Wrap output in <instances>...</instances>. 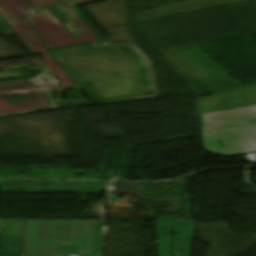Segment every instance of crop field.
I'll list each match as a JSON object with an SVG mask.
<instances>
[{
	"instance_id": "8a807250",
	"label": "crop field",
	"mask_w": 256,
	"mask_h": 256,
	"mask_svg": "<svg viewBox=\"0 0 256 256\" xmlns=\"http://www.w3.org/2000/svg\"><path fill=\"white\" fill-rule=\"evenodd\" d=\"M94 226L95 221L28 220L21 254L55 256L60 244H75L79 254H92Z\"/></svg>"
},
{
	"instance_id": "ac0d7876",
	"label": "crop field",
	"mask_w": 256,
	"mask_h": 256,
	"mask_svg": "<svg viewBox=\"0 0 256 256\" xmlns=\"http://www.w3.org/2000/svg\"><path fill=\"white\" fill-rule=\"evenodd\" d=\"M110 174L73 170L72 161L0 160V178L110 179Z\"/></svg>"
},
{
	"instance_id": "34b2d1b8",
	"label": "crop field",
	"mask_w": 256,
	"mask_h": 256,
	"mask_svg": "<svg viewBox=\"0 0 256 256\" xmlns=\"http://www.w3.org/2000/svg\"><path fill=\"white\" fill-rule=\"evenodd\" d=\"M203 139L210 152L224 156L256 151V124L206 132ZM217 140L223 143V148Z\"/></svg>"
},
{
	"instance_id": "412701ff",
	"label": "crop field",
	"mask_w": 256,
	"mask_h": 256,
	"mask_svg": "<svg viewBox=\"0 0 256 256\" xmlns=\"http://www.w3.org/2000/svg\"><path fill=\"white\" fill-rule=\"evenodd\" d=\"M171 224H174V247L173 256H191L193 233H194V221H156L159 255L160 256H171V235L168 233L172 232ZM176 224H191L184 226H176ZM162 227H165V237H163ZM188 228V229H178ZM181 233L182 235H177Z\"/></svg>"
},
{
	"instance_id": "f4fd0767",
	"label": "crop field",
	"mask_w": 256,
	"mask_h": 256,
	"mask_svg": "<svg viewBox=\"0 0 256 256\" xmlns=\"http://www.w3.org/2000/svg\"><path fill=\"white\" fill-rule=\"evenodd\" d=\"M10 181L22 183H10ZM102 182L85 181H50V180H0L1 192H19V190H6V188H21L26 192L72 191V193H97ZM20 185V186H4ZM45 185L48 187H37ZM51 189V190H36Z\"/></svg>"
},
{
	"instance_id": "dd49c442",
	"label": "crop field",
	"mask_w": 256,
	"mask_h": 256,
	"mask_svg": "<svg viewBox=\"0 0 256 256\" xmlns=\"http://www.w3.org/2000/svg\"><path fill=\"white\" fill-rule=\"evenodd\" d=\"M203 131L256 122V107L204 115Z\"/></svg>"
},
{
	"instance_id": "e52e79f7",
	"label": "crop field",
	"mask_w": 256,
	"mask_h": 256,
	"mask_svg": "<svg viewBox=\"0 0 256 256\" xmlns=\"http://www.w3.org/2000/svg\"><path fill=\"white\" fill-rule=\"evenodd\" d=\"M25 222L26 220L0 219V255H19ZM6 244L8 248H5Z\"/></svg>"
},
{
	"instance_id": "d8731c3e",
	"label": "crop field",
	"mask_w": 256,
	"mask_h": 256,
	"mask_svg": "<svg viewBox=\"0 0 256 256\" xmlns=\"http://www.w3.org/2000/svg\"><path fill=\"white\" fill-rule=\"evenodd\" d=\"M109 183H110V182H104V183H103V186H102V189H101V192H100V193H106V192H107Z\"/></svg>"
}]
</instances>
